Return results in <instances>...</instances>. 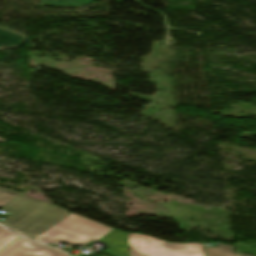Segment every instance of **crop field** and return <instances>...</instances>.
I'll return each instance as SVG.
<instances>
[{"instance_id": "obj_1", "label": "crop field", "mask_w": 256, "mask_h": 256, "mask_svg": "<svg viewBox=\"0 0 256 256\" xmlns=\"http://www.w3.org/2000/svg\"><path fill=\"white\" fill-rule=\"evenodd\" d=\"M2 208L12 215L0 223L32 239L71 214L54 204L41 202L25 195L19 196Z\"/></svg>"}, {"instance_id": "obj_2", "label": "crop field", "mask_w": 256, "mask_h": 256, "mask_svg": "<svg viewBox=\"0 0 256 256\" xmlns=\"http://www.w3.org/2000/svg\"><path fill=\"white\" fill-rule=\"evenodd\" d=\"M113 230L104 224L71 214L61 220L35 240L56 245L60 241L84 246L91 240H98Z\"/></svg>"}, {"instance_id": "obj_3", "label": "crop field", "mask_w": 256, "mask_h": 256, "mask_svg": "<svg viewBox=\"0 0 256 256\" xmlns=\"http://www.w3.org/2000/svg\"><path fill=\"white\" fill-rule=\"evenodd\" d=\"M130 256H186L184 244H171L142 234H129Z\"/></svg>"}, {"instance_id": "obj_4", "label": "crop field", "mask_w": 256, "mask_h": 256, "mask_svg": "<svg viewBox=\"0 0 256 256\" xmlns=\"http://www.w3.org/2000/svg\"><path fill=\"white\" fill-rule=\"evenodd\" d=\"M0 256H67L52 248L26 240L18 239L0 252Z\"/></svg>"}, {"instance_id": "obj_5", "label": "crop field", "mask_w": 256, "mask_h": 256, "mask_svg": "<svg viewBox=\"0 0 256 256\" xmlns=\"http://www.w3.org/2000/svg\"><path fill=\"white\" fill-rule=\"evenodd\" d=\"M27 37L21 33L0 27V50L19 48Z\"/></svg>"}, {"instance_id": "obj_6", "label": "crop field", "mask_w": 256, "mask_h": 256, "mask_svg": "<svg viewBox=\"0 0 256 256\" xmlns=\"http://www.w3.org/2000/svg\"><path fill=\"white\" fill-rule=\"evenodd\" d=\"M94 0H44L40 5L79 7L91 3Z\"/></svg>"}, {"instance_id": "obj_7", "label": "crop field", "mask_w": 256, "mask_h": 256, "mask_svg": "<svg viewBox=\"0 0 256 256\" xmlns=\"http://www.w3.org/2000/svg\"><path fill=\"white\" fill-rule=\"evenodd\" d=\"M234 246L220 244V247H208L206 252L208 256H236L233 252Z\"/></svg>"}, {"instance_id": "obj_8", "label": "crop field", "mask_w": 256, "mask_h": 256, "mask_svg": "<svg viewBox=\"0 0 256 256\" xmlns=\"http://www.w3.org/2000/svg\"><path fill=\"white\" fill-rule=\"evenodd\" d=\"M20 193L0 187V208L11 200L17 198Z\"/></svg>"}, {"instance_id": "obj_9", "label": "crop field", "mask_w": 256, "mask_h": 256, "mask_svg": "<svg viewBox=\"0 0 256 256\" xmlns=\"http://www.w3.org/2000/svg\"><path fill=\"white\" fill-rule=\"evenodd\" d=\"M17 238H18V236L14 235L0 227V249H2L7 244L13 242Z\"/></svg>"}, {"instance_id": "obj_10", "label": "crop field", "mask_w": 256, "mask_h": 256, "mask_svg": "<svg viewBox=\"0 0 256 256\" xmlns=\"http://www.w3.org/2000/svg\"><path fill=\"white\" fill-rule=\"evenodd\" d=\"M187 256H205L202 244H186Z\"/></svg>"}, {"instance_id": "obj_11", "label": "crop field", "mask_w": 256, "mask_h": 256, "mask_svg": "<svg viewBox=\"0 0 256 256\" xmlns=\"http://www.w3.org/2000/svg\"><path fill=\"white\" fill-rule=\"evenodd\" d=\"M237 256H248V255L240 254V255H237Z\"/></svg>"}, {"instance_id": "obj_12", "label": "crop field", "mask_w": 256, "mask_h": 256, "mask_svg": "<svg viewBox=\"0 0 256 256\" xmlns=\"http://www.w3.org/2000/svg\"><path fill=\"white\" fill-rule=\"evenodd\" d=\"M1 142H5V140L0 139Z\"/></svg>"}]
</instances>
